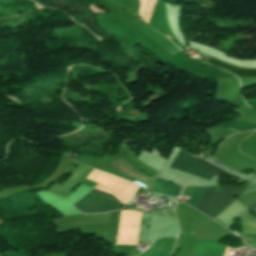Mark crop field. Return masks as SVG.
<instances>
[{"label":"crop field","mask_w":256,"mask_h":256,"mask_svg":"<svg viewBox=\"0 0 256 256\" xmlns=\"http://www.w3.org/2000/svg\"><path fill=\"white\" fill-rule=\"evenodd\" d=\"M88 180L111 187L113 189L119 190L132 196H134L138 188V186L131 182L124 181L120 178L108 175L96 169L93 170ZM99 184L96 185L95 189L113 194L121 203H128L133 198L132 196H129L127 194L121 193L119 191L113 190L111 188Z\"/></svg>","instance_id":"8a807250"},{"label":"crop field","mask_w":256,"mask_h":256,"mask_svg":"<svg viewBox=\"0 0 256 256\" xmlns=\"http://www.w3.org/2000/svg\"><path fill=\"white\" fill-rule=\"evenodd\" d=\"M207 63L220 67L228 72L233 73L237 76H246V77H256V70H250V69H243V68H237L233 67L231 65H228L226 63L220 62L218 60H215L211 58Z\"/></svg>","instance_id":"d8731c3e"},{"label":"crop field","mask_w":256,"mask_h":256,"mask_svg":"<svg viewBox=\"0 0 256 256\" xmlns=\"http://www.w3.org/2000/svg\"><path fill=\"white\" fill-rule=\"evenodd\" d=\"M241 190L206 189L196 209L212 217Z\"/></svg>","instance_id":"412701ff"},{"label":"crop field","mask_w":256,"mask_h":256,"mask_svg":"<svg viewBox=\"0 0 256 256\" xmlns=\"http://www.w3.org/2000/svg\"><path fill=\"white\" fill-rule=\"evenodd\" d=\"M73 206L83 213L106 212L123 207L113 195L95 189Z\"/></svg>","instance_id":"34b2d1b8"},{"label":"crop field","mask_w":256,"mask_h":256,"mask_svg":"<svg viewBox=\"0 0 256 256\" xmlns=\"http://www.w3.org/2000/svg\"><path fill=\"white\" fill-rule=\"evenodd\" d=\"M205 187H195L189 201H188V204L193 206V207H196L203 191H204Z\"/></svg>","instance_id":"3316defc"},{"label":"crop field","mask_w":256,"mask_h":256,"mask_svg":"<svg viewBox=\"0 0 256 256\" xmlns=\"http://www.w3.org/2000/svg\"><path fill=\"white\" fill-rule=\"evenodd\" d=\"M208 160L213 162V163H215V164H217V165H219V166H221V167H223V168H225V169H227V170H229L230 172H232V173H234V174H236V175H238L240 177L245 178L246 176H248L246 174H243V173L237 171L236 169H234V168H232L230 166H227V165L221 163L220 161H218V160H216L214 158H211V159H208ZM245 180H247V181H249L251 183L248 185V187L244 191H242L237 196L243 195V194H246V193H250V192H253V191H256V175H255V173L250 174L247 178H245ZM246 207L250 211H252V213L256 216V202L255 203H251V204H247Z\"/></svg>","instance_id":"dd49c442"},{"label":"crop field","mask_w":256,"mask_h":256,"mask_svg":"<svg viewBox=\"0 0 256 256\" xmlns=\"http://www.w3.org/2000/svg\"><path fill=\"white\" fill-rule=\"evenodd\" d=\"M179 189L178 186L157 180L153 191L176 197Z\"/></svg>","instance_id":"5a996713"},{"label":"crop field","mask_w":256,"mask_h":256,"mask_svg":"<svg viewBox=\"0 0 256 256\" xmlns=\"http://www.w3.org/2000/svg\"><path fill=\"white\" fill-rule=\"evenodd\" d=\"M170 168L190 173L211 180L213 175L218 176L223 170L195 157L187 155L180 149Z\"/></svg>","instance_id":"ac0d7876"},{"label":"crop field","mask_w":256,"mask_h":256,"mask_svg":"<svg viewBox=\"0 0 256 256\" xmlns=\"http://www.w3.org/2000/svg\"><path fill=\"white\" fill-rule=\"evenodd\" d=\"M229 249L220 244L198 242L192 251L196 256H227Z\"/></svg>","instance_id":"e52e79f7"},{"label":"crop field","mask_w":256,"mask_h":256,"mask_svg":"<svg viewBox=\"0 0 256 256\" xmlns=\"http://www.w3.org/2000/svg\"><path fill=\"white\" fill-rule=\"evenodd\" d=\"M239 131V130H238Z\"/></svg>","instance_id":"28ad6ade"},{"label":"crop field","mask_w":256,"mask_h":256,"mask_svg":"<svg viewBox=\"0 0 256 256\" xmlns=\"http://www.w3.org/2000/svg\"><path fill=\"white\" fill-rule=\"evenodd\" d=\"M141 212L121 211L116 244H137Z\"/></svg>","instance_id":"f4fd0767"}]
</instances>
